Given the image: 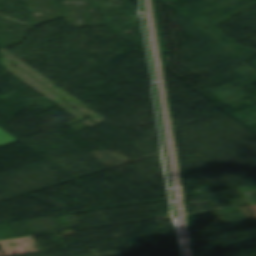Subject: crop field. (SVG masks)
Wrapping results in <instances>:
<instances>
[{
    "instance_id": "8a807250",
    "label": "crop field",
    "mask_w": 256,
    "mask_h": 256,
    "mask_svg": "<svg viewBox=\"0 0 256 256\" xmlns=\"http://www.w3.org/2000/svg\"><path fill=\"white\" fill-rule=\"evenodd\" d=\"M13 141H17L14 137L0 128V145L7 144Z\"/></svg>"
}]
</instances>
